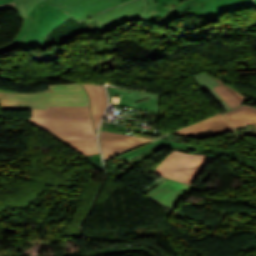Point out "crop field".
I'll return each instance as SVG.
<instances>
[{
	"mask_svg": "<svg viewBox=\"0 0 256 256\" xmlns=\"http://www.w3.org/2000/svg\"><path fill=\"white\" fill-rule=\"evenodd\" d=\"M61 8L79 23L92 15L130 0H46Z\"/></svg>",
	"mask_w": 256,
	"mask_h": 256,
	"instance_id": "crop-field-7",
	"label": "crop field"
},
{
	"mask_svg": "<svg viewBox=\"0 0 256 256\" xmlns=\"http://www.w3.org/2000/svg\"><path fill=\"white\" fill-rule=\"evenodd\" d=\"M156 2H160V1H170V0H155Z\"/></svg>",
	"mask_w": 256,
	"mask_h": 256,
	"instance_id": "crop-field-23",
	"label": "crop field"
},
{
	"mask_svg": "<svg viewBox=\"0 0 256 256\" xmlns=\"http://www.w3.org/2000/svg\"><path fill=\"white\" fill-rule=\"evenodd\" d=\"M156 147H157V146L153 147V148L150 149L149 151L145 152L144 154H142V155H140V156H138V157H136V158H134V159H132V160H130V161H128V162H129V163H132V164H135V163L141 161L142 159L147 158V157L156 149Z\"/></svg>",
	"mask_w": 256,
	"mask_h": 256,
	"instance_id": "crop-field-19",
	"label": "crop field"
},
{
	"mask_svg": "<svg viewBox=\"0 0 256 256\" xmlns=\"http://www.w3.org/2000/svg\"><path fill=\"white\" fill-rule=\"evenodd\" d=\"M83 85L89 95L91 113L94 120L95 130H97L107 102L106 92L103 86L90 84Z\"/></svg>",
	"mask_w": 256,
	"mask_h": 256,
	"instance_id": "crop-field-13",
	"label": "crop field"
},
{
	"mask_svg": "<svg viewBox=\"0 0 256 256\" xmlns=\"http://www.w3.org/2000/svg\"><path fill=\"white\" fill-rule=\"evenodd\" d=\"M99 140L104 160L118 153L127 151L129 149L152 141V139H145L103 131L99 132Z\"/></svg>",
	"mask_w": 256,
	"mask_h": 256,
	"instance_id": "crop-field-8",
	"label": "crop field"
},
{
	"mask_svg": "<svg viewBox=\"0 0 256 256\" xmlns=\"http://www.w3.org/2000/svg\"><path fill=\"white\" fill-rule=\"evenodd\" d=\"M210 159V156L189 154L174 150L158 165L154 172L191 184Z\"/></svg>",
	"mask_w": 256,
	"mask_h": 256,
	"instance_id": "crop-field-3",
	"label": "crop field"
},
{
	"mask_svg": "<svg viewBox=\"0 0 256 256\" xmlns=\"http://www.w3.org/2000/svg\"><path fill=\"white\" fill-rule=\"evenodd\" d=\"M79 151L83 156L99 153L96 140H60Z\"/></svg>",
	"mask_w": 256,
	"mask_h": 256,
	"instance_id": "crop-field-16",
	"label": "crop field"
},
{
	"mask_svg": "<svg viewBox=\"0 0 256 256\" xmlns=\"http://www.w3.org/2000/svg\"><path fill=\"white\" fill-rule=\"evenodd\" d=\"M224 115L234 127L256 123V108L248 105H241Z\"/></svg>",
	"mask_w": 256,
	"mask_h": 256,
	"instance_id": "crop-field-14",
	"label": "crop field"
},
{
	"mask_svg": "<svg viewBox=\"0 0 256 256\" xmlns=\"http://www.w3.org/2000/svg\"><path fill=\"white\" fill-rule=\"evenodd\" d=\"M147 10V0H136L114 7L94 17L102 36L126 23L141 21Z\"/></svg>",
	"mask_w": 256,
	"mask_h": 256,
	"instance_id": "crop-field-4",
	"label": "crop field"
},
{
	"mask_svg": "<svg viewBox=\"0 0 256 256\" xmlns=\"http://www.w3.org/2000/svg\"><path fill=\"white\" fill-rule=\"evenodd\" d=\"M11 1H13V0H0V4L6 3V2H11Z\"/></svg>",
	"mask_w": 256,
	"mask_h": 256,
	"instance_id": "crop-field-22",
	"label": "crop field"
},
{
	"mask_svg": "<svg viewBox=\"0 0 256 256\" xmlns=\"http://www.w3.org/2000/svg\"><path fill=\"white\" fill-rule=\"evenodd\" d=\"M256 1V0H255Z\"/></svg>",
	"mask_w": 256,
	"mask_h": 256,
	"instance_id": "crop-field-24",
	"label": "crop field"
},
{
	"mask_svg": "<svg viewBox=\"0 0 256 256\" xmlns=\"http://www.w3.org/2000/svg\"><path fill=\"white\" fill-rule=\"evenodd\" d=\"M217 93L222 97V99L228 104L229 107L234 108L242 104L238 99H236L228 90H226L222 85L215 88Z\"/></svg>",
	"mask_w": 256,
	"mask_h": 256,
	"instance_id": "crop-field-17",
	"label": "crop field"
},
{
	"mask_svg": "<svg viewBox=\"0 0 256 256\" xmlns=\"http://www.w3.org/2000/svg\"><path fill=\"white\" fill-rule=\"evenodd\" d=\"M32 118L91 119L89 107H50V110H32Z\"/></svg>",
	"mask_w": 256,
	"mask_h": 256,
	"instance_id": "crop-field-11",
	"label": "crop field"
},
{
	"mask_svg": "<svg viewBox=\"0 0 256 256\" xmlns=\"http://www.w3.org/2000/svg\"><path fill=\"white\" fill-rule=\"evenodd\" d=\"M228 127H231V125L226 120V118L223 117L222 115H217L215 117L209 118L207 120L201 121L199 123L193 124L183 129L177 130L173 133H177L188 138H194V137L197 138L205 134L226 129Z\"/></svg>",
	"mask_w": 256,
	"mask_h": 256,
	"instance_id": "crop-field-10",
	"label": "crop field"
},
{
	"mask_svg": "<svg viewBox=\"0 0 256 256\" xmlns=\"http://www.w3.org/2000/svg\"><path fill=\"white\" fill-rule=\"evenodd\" d=\"M42 0H16V6L25 24L19 36L14 40L16 46L25 43L29 34L33 30L36 21V4Z\"/></svg>",
	"mask_w": 256,
	"mask_h": 256,
	"instance_id": "crop-field-12",
	"label": "crop field"
},
{
	"mask_svg": "<svg viewBox=\"0 0 256 256\" xmlns=\"http://www.w3.org/2000/svg\"><path fill=\"white\" fill-rule=\"evenodd\" d=\"M150 2V9L144 19V23H148L158 12H152V9H153V1L152 0H149Z\"/></svg>",
	"mask_w": 256,
	"mask_h": 256,
	"instance_id": "crop-field-20",
	"label": "crop field"
},
{
	"mask_svg": "<svg viewBox=\"0 0 256 256\" xmlns=\"http://www.w3.org/2000/svg\"><path fill=\"white\" fill-rule=\"evenodd\" d=\"M232 132H234L233 127L229 128V129H226V130H223V131H219V132H216V133H212V134H209V135L199 137L198 139L204 138V137L216 136V135H220V134L232 133Z\"/></svg>",
	"mask_w": 256,
	"mask_h": 256,
	"instance_id": "crop-field-21",
	"label": "crop field"
},
{
	"mask_svg": "<svg viewBox=\"0 0 256 256\" xmlns=\"http://www.w3.org/2000/svg\"><path fill=\"white\" fill-rule=\"evenodd\" d=\"M36 94L0 93L1 110L49 109V106H89L81 84L53 85Z\"/></svg>",
	"mask_w": 256,
	"mask_h": 256,
	"instance_id": "crop-field-1",
	"label": "crop field"
},
{
	"mask_svg": "<svg viewBox=\"0 0 256 256\" xmlns=\"http://www.w3.org/2000/svg\"><path fill=\"white\" fill-rule=\"evenodd\" d=\"M154 1V0H153ZM154 2L153 11H160L149 23L166 27L172 20L193 14L196 18L226 14L254 8L253 0H187Z\"/></svg>",
	"mask_w": 256,
	"mask_h": 256,
	"instance_id": "crop-field-2",
	"label": "crop field"
},
{
	"mask_svg": "<svg viewBox=\"0 0 256 256\" xmlns=\"http://www.w3.org/2000/svg\"><path fill=\"white\" fill-rule=\"evenodd\" d=\"M202 91H205L206 89L210 92V94L216 99V101L222 106V108L225 111L230 110L226 103L221 99V97L216 93V91L213 89L214 87L220 85L219 83L215 82L206 72L194 75L193 76Z\"/></svg>",
	"mask_w": 256,
	"mask_h": 256,
	"instance_id": "crop-field-15",
	"label": "crop field"
},
{
	"mask_svg": "<svg viewBox=\"0 0 256 256\" xmlns=\"http://www.w3.org/2000/svg\"><path fill=\"white\" fill-rule=\"evenodd\" d=\"M57 139H96L91 120L26 119Z\"/></svg>",
	"mask_w": 256,
	"mask_h": 256,
	"instance_id": "crop-field-5",
	"label": "crop field"
},
{
	"mask_svg": "<svg viewBox=\"0 0 256 256\" xmlns=\"http://www.w3.org/2000/svg\"><path fill=\"white\" fill-rule=\"evenodd\" d=\"M196 188L167 179L145 195L172 210L184 192Z\"/></svg>",
	"mask_w": 256,
	"mask_h": 256,
	"instance_id": "crop-field-9",
	"label": "crop field"
},
{
	"mask_svg": "<svg viewBox=\"0 0 256 256\" xmlns=\"http://www.w3.org/2000/svg\"><path fill=\"white\" fill-rule=\"evenodd\" d=\"M214 80L217 82L221 83L226 89H228L236 98H238L242 103L249 100L247 97H245L243 94H241L239 91H237L235 88H233L230 85H226L222 82H220L218 79L215 77L211 76Z\"/></svg>",
	"mask_w": 256,
	"mask_h": 256,
	"instance_id": "crop-field-18",
	"label": "crop field"
},
{
	"mask_svg": "<svg viewBox=\"0 0 256 256\" xmlns=\"http://www.w3.org/2000/svg\"><path fill=\"white\" fill-rule=\"evenodd\" d=\"M71 18L61 9L51 6L45 0L37 4L36 27L30 34L24 45L18 46L22 49L42 44L49 33L59 24ZM58 27V26H57Z\"/></svg>",
	"mask_w": 256,
	"mask_h": 256,
	"instance_id": "crop-field-6",
	"label": "crop field"
}]
</instances>
